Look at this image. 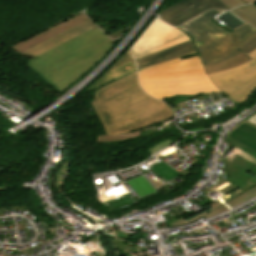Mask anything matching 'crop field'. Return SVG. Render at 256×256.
Listing matches in <instances>:
<instances>
[{"label":"crop field","mask_w":256,"mask_h":256,"mask_svg":"<svg viewBox=\"0 0 256 256\" xmlns=\"http://www.w3.org/2000/svg\"><path fill=\"white\" fill-rule=\"evenodd\" d=\"M92 95L96 97L89 103L106 135L133 132L174 118L168 105L141 90L136 73L123 76Z\"/></svg>","instance_id":"crop-field-1"},{"label":"crop field","mask_w":256,"mask_h":256,"mask_svg":"<svg viewBox=\"0 0 256 256\" xmlns=\"http://www.w3.org/2000/svg\"><path fill=\"white\" fill-rule=\"evenodd\" d=\"M99 28L27 62V67L58 93L79 78L113 45Z\"/></svg>","instance_id":"crop-field-2"},{"label":"crop field","mask_w":256,"mask_h":256,"mask_svg":"<svg viewBox=\"0 0 256 256\" xmlns=\"http://www.w3.org/2000/svg\"><path fill=\"white\" fill-rule=\"evenodd\" d=\"M198 57L181 58L138 70L139 84L154 98L180 94L202 95L220 92L206 77Z\"/></svg>","instance_id":"crop-field-3"},{"label":"crop field","mask_w":256,"mask_h":256,"mask_svg":"<svg viewBox=\"0 0 256 256\" xmlns=\"http://www.w3.org/2000/svg\"><path fill=\"white\" fill-rule=\"evenodd\" d=\"M220 12L222 11L209 10L178 27L192 38L203 64L223 61L239 53L236 47L256 31L245 23L229 34L211 21Z\"/></svg>","instance_id":"crop-field-4"},{"label":"crop field","mask_w":256,"mask_h":256,"mask_svg":"<svg viewBox=\"0 0 256 256\" xmlns=\"http://www.w3.org/2000/svg\"><path fill=\"white\" fill-rule=\"evenodd\" d=\"M253 60L236 68L207 75L233 101L241 103L256 88V49L247 54Z\"/></svg>","instance_id":"crop-field-5"},{"label":"crop field","mask_w":256,"mask_h":256,"mask_svg":"<svg viewBox=\"0 0 256 256\" xmlns=\"http://www.w3.org/2000/svg\"><path fill=\"white\" fill-rule=\"evenodd\" d=\"M187 40L190 37L181 30L156 20L131 51L137 60Z\"/></svg>","instance_id":"crop-field-6"},{"label":"crop field","mask_w":256,"mask_h":256,"mask_svg":"<svg viewBox=\"0 0 256 256\" xmlns=\"http://www.w3.org/2000/svg\"><path fill=\"white\" fill-rule=\"evenodd\" d=\"M211 8L229 9L221 0H182L161 11L160 19L172 26H178Z\"/></svg>","instance_id":"crop-field-7"},{"label":"crop field","mask_w":256,"mask_h":256,"mask_svg":"<svg viewBox=\"0 0 256 256\" xmlns=\"http://www.w3.org/2000/svg\"><path fill=\"white\" fill-rule=\"evenodd\" d=\"M97 26L90 20H86L62 33H59L19 54L27 55L30 57H35L39 54H42L48 50H51Z\"/></svg>","instance_id":"crop-field-8"},{"label":"crop field","mask_w":256,"mask_h":256,"mask_svg":"<svg viewBox=\"0 0 256 256\" xmlns=\"http://www.w3.org/2000/svg\"><path fill=\"white\" fill-rule=\"evenodd\" d=\"M192 54H196V50L193 45V42L190 40L182 44L168 48L166 50H163L161 52H158L156 54H153L151 56L139 59L136 61V65L137 68L139 69L149 65L174 60L179 57H184Z\"/></svg>","instance_id":"crop-field-9"},{"label":"crop field","mask_w":256,"mask_h":256,"mask_svg":"<svg viewBox=\"0 0 256 256\" xmlns=\"http://www.w3.org/2000/svg\"><path fill=\"white\" fill-rule=\"evenodd\" d=\"M86 19H88V17H86L84 14L76 16V17H74V18H72V19H70V20H68V21H66V22L48 30V31H45V32H43V33L25 41V42H22L20 44H17L15 46H13V49H15L18 53V52H20V51L38 43V42H41V41H43V40H45V39H47V38H49L53 35L65 30V29H67V28L71 27V26H74V25H76V24H78V23H80V22H82Z\"/></svg>","instance_id":"crop-field-10"},{"label":"crop field","mask_w":256,"mask_h":256,"mask_svg":"<svg viewBox=\"0 0 256 256\" xmlns=\"http://www.w3.org/2000/svg\"><path fill=\"white\" fill-rule=\"evenodd\" d=\"M228 137L256 151V128L253 129L243 123L233 130Z\"/></svg>","instance_id":"crop-field-11"},{"label":"crop field","mask_w":256,"mask_h":256,"mask_svg":"<svg viewBox=\"0 0 256 256\" xmlns=\"http://www.w3.org/2000/svg\"><path fill=\"white\" fill-rule=\"evenodd\" d=\"M251 60V58H249L245 53L241 52L240 54L227 59L223 62H218V63H214L211 65H204V69L206 74L209 73H213V72H218V71H223V70H227L233 67H236L240 64H243L247 61Z\"/></svg>","instance_id":"crop-field-12"},{"label":"crop field","mask_w":256,"mask_h":256,"mask_svg":"<svg viewBox=\"0 0 256 256\" xmlns=\"http://www.w3.org/2000/svg\"><path fill=\"white\" fill-rule=\"evenodd\" d=\"M134 62H130L124 66H121L107 74H105L101 79H99L92 87H90L88 90H93L95 88L100 87L101 85L113 80L118 79L121 76L125 74H129L131 72H136V66H133Z\"/></svg>","instance_id":"crop-field-13"},{"label":"crop field","mask_w":256,"mask_h":256,"mask_svg":"<svg viewBox=\"0 0 256 256\" xmlns=\"http://www.w3.org/2000/svg\"><path fill=\"white\" fill-rule=\"evenodd\" d=\"M210 206L212 209H210V210H208V211H206L188 221H186L184 219V217H182L181 219H177L174 223H171V226L177 227V226L189 224V223H192L200 218H203V217L207 218V217H210V216H213V215H216V214H219V213L229 210V208L227 206L223 205L222 203H220L219 200L210 204Z\"/></svg>","instance_id":"crop-field-14"},{"label":"crop field","mask_w":256,"mask_h":256,"mask_svg":"<svg viewBox=\"0 0 256 256\" xmlns=\"http://www.w3.org/2000/svg\"><path fill=\"white\" fill-rule=\"evenodd\" d=\"M231 11L236 15H238L242 20H244L248 24L256 27V6L255 5L251 4V5L241 6Z\"/></svg>","instance_id":"crop-field-15"},{"label":"crop field","mask_w":256,"mask_h":256,"mask_svg":"<svg viewBox=\"0 0 256 256\" xmlns=\"http://www.w3.org/2000/svg\"><path fill=\"white\" fill-rule=\"evenodd\" d=\"M256 195V186H254L253 188H251L250 190L246 191L245 193L241 194L240 196L232 199L231 201L225 203L227 206H229L230 208L243 203L249 199H251L252 197H254Z\"/></svg>","instance_id":"crop-field-16"},{"label":"crop field","mask_w":256,"mask_h":256,"mask_svg":"<svg viewBox=\"0 0 256 256\" xmlns=\"http://www.w3.org/2000/svg\"><path fill=\"white\" fill-rule=\"evenodd\" d=\"M140 136L139 132H133L128 134H121V135H115V136H101L98 137V142H115V141H121L129 138H134Z\"/></svg>","instance_id":"crop-field-17"},{"label":"crop field","mask_w":256,"mask_h":256,"mask_svg":"<svg viewBox=\"0 0 256 256\" xmlns=\"http://www.w3.org/2000/svg\"><path fill=\"white\" fill-rule=\"evenodd\" d=\"M255 48H256V33L239 46V49L244 51L246 54Z\"/></svg>","instance_id":"crop-field-18"},{"label":"crop field","mask_w":256,"mask_h":256,"mask_svg":"<svg viewBox=\"0 0 256 256\" xmlns=\"http://www.w3.org/2000/svg\"><path fill=\"white\" fill-rule=\"evenodd\" d=\"M132 60H133V57L131 56V54L128 50L127 53L124 56H122L107 72H109V71L129 62V61H132Z\"/></svg>","instance_id":"crop-field-19"},{"label":"crop field","mask_w":256,"mask_h":256,"mask_svg":"<svg viewBox=\"0 0 256 256\" xmlns=\"http://www.w3.org/2000/svg\"><path fill=\"white\" fill-rule=\"evenodd\" d=\"M230 9L239 5H245L241 0H222Z\"/></svg>","instance_id":"crop-field-20"},{"label":"crop field","mask_w":256,"mask_h":256,"mask_svg":"<svg viewBox=\"0 0 256 256\" xmlns=\"http://www.w3.org/2000/svg\"><path fill=\"white\" fill-rule=\"evenodd\" d=\"M245 4L256 2V0H242Z\"/></svg>","instance_id":"crop-field-21"}]
</instances>
